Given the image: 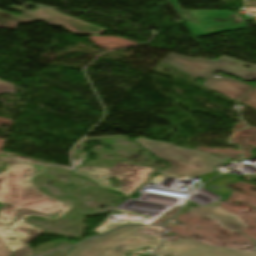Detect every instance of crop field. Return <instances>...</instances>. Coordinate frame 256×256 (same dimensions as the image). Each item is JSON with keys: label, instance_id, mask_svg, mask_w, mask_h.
Segmentation results:
<instances>
[{"label": "crop field", "instance_id": "5a996713", "mask_svg": "<svg viewBox=\"0 0 256 256\" xmlns=\"http://www.w3.org/2000/svg\"><path fill=\"white\" fill-rule=\"evenodd\" d=\"M191 209H193L194 211L198 212L203 216L210 215L213 218L219 219L220 223L230 230L236 231L244 227L243 223L240 222L237 218H235L232 215L226 214L217 206L196 207Z\"/></svg>", "mask_w": 256, "mask_h": 256}, {"label": "crop field", "instance_id": "cbeb9de0", "mask_svg": "<svg viewBox=\"0 0 256 256\" xmlns=\"http://www.w3.org/2000/svg\"><path fill=\"white\" fill-rule=\"evenodd\" d=\"M11 252L6 247V245L3 243V241L0 239V256H11Z\"/></svg>", "mask_w": 256, "mask_h": 256}, {"label": "crop field", "instance_id": "22f410ed", "mask_svg": "<svg viewBox=\"0 0 256 256\" xmlns=\"http://www.w3.org/2000/svg\"><path fill=\"white\" fill-rule=\"evenodd\" d=\"M15 87L0 80V93H15Z\"/></svg>", "mask_w": 256, "mask_h": 256}, {"label": "crop field", "instance_id": "28ad6ade", "mask_svg": "<svg viewBox=\"0 0 256 256\" xmlns=\"http://www.w3.org/2000/svg\"><path fill=\"white\" fill-rule=\"evenodd\" d=\"M239 102H243L247 105L256 108V86L250 92H248L242 99H240Z\"/></svg>", "mask_w": 256, "mask_h": 256}, {"label": "crop field", "instance_id": "3316defc", "mask_svg": "<svg viewBox=\"0 0 256 256\" xmlns=\"http://www.w3.org/2000/svg\"><path fill=\"white\" fill-rule=\"evenodd\" d=\"M237 180H238L237 177L224 175V176L212 181L211 183H209V184H212V185L224 187L223 189L218 190V189L207 187V186H209V184H207L204 187L213 191V192H215V193H217V194H219V195H221V196H223V197H225V198H227V197H229L231 191L224 184L225 183L236 182Z\"/></svg>", "mask_w": 256, "mask_h": 256}, {"label": "crop field", "instance_id": "e52e79f7", "mask_svg": "<svg viewBox=\"0 0 256 256\" xmlns=\"http://www.w3.org/2000/svg\"><path fill=\"white\" fill-rule=\"evenodd\" d=\"M196 20L187 21L195 37L243 29L246 23L231 11L190 10ZM222 27V29H218Z\"/></svg>", "mask_w": 256, "mask_h": 256}, {"label": "crop field", "instance_id": "dd49c442", "mask_svg": "<svg viewBox=\"0 0 256 256\" xmlns=\"http://www.w3.org/2000/svg\"><path fill=\"white\" fill-rule=\"evenodd\" d=\"M93 169L94 171H90ZM154 169L142 167L122 161H118L112 168H97V167H79L74 171L76 174L84 175L99 186L107 189L115 190L128 197L136 188L149 179L148 174ZM109 177H117L120 186L119 188L111 187Z\"/></svg>", "mask_w": 256, "mask_h": 256}, {"label": "crop field", "instance_id": "5142ce71", "mask_svg": "<svg viewBox=\"0 0 256 256\" xmlns=\"http://www.w3.org/2000/svg\"><path fill=\"white\" fill-rule=\"evenodd\" d=\"M0 222H1V223H6V222H7L6 219H5V217L2 215L1 212H0Z\"/></svg>", "mask_w": 256, "mask_h": 256}, {"label": "crop field", "instance_id": "d8731c3e", "mask_svg": "<svg viewBox=\"0 0 256 256\" xmlns=\"http://www.w3.org/2000/svg\"><path fill=\"white\" fill-rule=\"evenodd\" d=\"M250 254L241 249H224L207 246L189 239L177 238L174 242H165L154 253L163 256L164 252L177 253V256H256V243L249 248Z\"/></svg>", "mask_w": 256, "mask_h": 256}, {"label": "crop field", "instance_id": "412701ff", "mask_svg": "<svg viewBox=\"0 0 256 256\" xmlns=\"http://www.w3.org/2000/svg\"><path fill=\"white\" fill-rule=\"evenodd\" d=\"M144 227H125L100 239L88 240L76 246L67 256H125L123 249H141L144 246L154 250L161 244L157 237L135 234Z\"/></svg>", "mask_w": 256, "mask_h": 256}, {"label": "crop field", "instance_id": "f4fd0767", "mask_svg": "<svg viewBox=\"0 0 256 256\" xmlns=\"http://www.w3.org/2000/svg\"><path fill=\"white\" fill-rule=\"evenodd\" d=\"M9 8L23 13L20 16H16L0 10L1 29H16L17 24L41 20L53 26H62L67 31L76 34L99 35L106 30L45 7H39L34 11L24 10L15 5Z\"/></svg>", "mask_w": 256, "mask_h": 256}, {"label": "crop field", "instance_id": "ac0d7876", "mask_svg": "<svg viewBox=\"0 0 256 256\" xmlns=\"http://www.w3.org/2000/svg\"><path fill=\"white\" fill-rule=\"evenodd\" d=\"M162 62L189 74L193 78H204L205 82L202 86L217 91L232 100L240 98L251 88V86L227 77H213V72L221 71L241 77L243 80L247 81L256 79V64L252 65L225 56L213 61L188 58L170 52ZM243 64L250 66L251 69L247 70L243 68Z\"/></svg>", "mask_w": 256, "mask_h": 256}, {"label": "crop field", "instance_id": "8a807250", "mask_svg": "<svg viewBox=\"0 0 256 256\" xmlns=\"http://www.w3.org/2000/svg\"><path fill=\"white\" fill-rule=\"evenodd\" d=\"M7 169L0 174L1 211L8 223H0V237L14 256H33L28 243L43 230L25 222L27 216L36 215L50 220L59 218L73 205L52 198L31 184L34 175L42 174L46 167L26 164L7 155H0Z\"/></svg>", "mask_w": 256, "mask_h": 256}, {"label": "crop field", "instance_id": "34b2d1b8", "mask_svg": "<svg viewBox=\"0 0 256 256\" xmlns=\"http://www.w3.org/2000/svg\"><path fill=\"white\" fill-rule=\"evenodd\" d=\"M135 141L156 157L170 163L171 167L162 171L195 177L211 172L216 169L213 166L228 161L194 149L180 148L168 142L145 138H137Z\"/></svg>", "mask_w": 256, "mask_h": 256}, {"label": "crop field", "instance_id": "d1516ede", "mask_svg": "<svg viewBox=\"0 0 256 256\" xmlns=\"http://www.w3.org/2000/svg\"><path fill=\"white\" fill-rule=\"evenodd\" d=\"M171 3L174 5V7L176 8V10L179 12V14L181 15V17L184 19V21L187 20H193L194 17L191 15V13L189 12V10H182L178 4L177 1L178 0H170Z\"/></svg>", "mask_w": 256, "mask_h": 256}]
</instances>
